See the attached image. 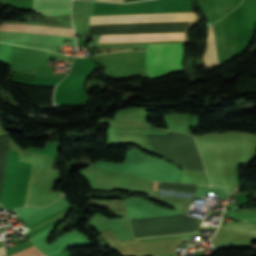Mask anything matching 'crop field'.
Segmentation results:
<instances>
[{
	"instance_id": "8a807250",
	"label": "crop field",
	"mask_w": 256,
	"mask_h": 256,
	"mask_svg": "<svg viewBox=\"0 0 256 256\" xmlns=\"http://www.w3.org/2000/svg\"><path fill=\"white\" fill-rule=\"evenodd\" d=\"M187 13H194V12H187ZM163 14H184V13L107 15V16H91L90 18L163 15ZM193 17H194V14L100 18V19H90V24H125V23H145V22H164V21H192ZM175 39H184V32L132 34V35H102L99 42H144V41L175 40Z\"/></svg>"
},
{
	"instance_id": "ac0d7876",
	"label": "crop field",
	"mask_w": 256,
	"mask_h": 256,
	"mask_svg": "<svg viewBox=\"0 0 256 256\" xmlns=\"http://www.w3.org/2000/svg\"><path fill=\"white\" fill-rule=\"evenodd\" d=\"M182 61L183 56L181 42L147 44L145 64L146 71H148V77H155L165 73L181 70Z\"/></svg>"
},
{
	"instance_id": "34b2d1b8",
	"label": "crop field",
	"mask_w": 256,
	"mask_h": 256,
	"mask_svg": "<svg viewBox=\"0 0 256 256\" xmlns=\"http://www.w3.org/2000/svg\"><path fill=\"white\" fill-rule=\"evenodd\" d=\"M71 0H33L32 11L44 15H63L70 12Z\"/></svg>"
},
{
	"instance_id": "412701ff",
	"label": "crop field",
	"mask_w": 256,
	"mask_h": 256,
	"mask_svg": "<svg viewBox=\"0 0 256 256\" xmlns=\"http://www.w3.org/2000/svg\"><path fill=\"white\" fill-rule=\"evenodd\" d=\"M0 31L35 32L44 34L74 36L73 29L69 28L33 26L24 24H1Z\"/></svg>"
},
{
	"instance_id": "f4fd0767",
	"label": "crop field",
	"mask_w": 256,
	"mask_h": 256,
	"mask_svg": "<svg viewBox=\"0 0 256 256\" xmlns=\"http://www.w3.org/2000/svg\"><path fill=\"white\" fill-rule=\"evenodd\" d=\"M212 25V24H211ZM207 48L203 56L204 68H214L218 66L216 48L213 35V27L210 26L208 29Z\"/></svg>"
},
{
	"instance_id": "dd49c442",
	"label": "crop field",
	"mask_w": 256,
	"mask_h": 256,
	"mask_svg": "<svg viewBox=\"0 0 256 256\" xmlns=\"http://www.w3.org/2000/svg\"><path fill=\"white\" fill-rule=\"evenodd\" d=\"M220 228L221 229H226V230H232V231H237V232L256 235V225H248V224L227 222L226 227L220 226Z\"/></svg>"
},
{
	"instance_id": "e52e79f7",
	"label": "crop field",
	"mask_w": 256,
	"mask_h": 256,
	"mask_svg": "<svg viewBox=\"0 0 256 256\" xmlns=\"http://www.w3.org/2000/svg\"><path fill=\"white\" fill-rule=\"evenodd\" d=\"M10 256H45V255L40 253L34 246H32L30 248H27L25 250H22Z\"/></svg>"
},
{
	"instance_id": "d8731c3e",
	"label": "crop field",
	"mask_w": 256,
	"mask_h": 256,
	"mask_svg": "<svg viewBox=\"0 0 256 256\" xmlns=\"http://www.w3.org/2000/svg\"><path fill=\"white\" fill-rule=\"evenodd\" d=\"M4 255V250H3V246L0 247V256H3Z\"/></svg>"
},
{
	"instance_id": "5a996713",
	"label": "crop field",
	"mask_w": 256,
	"mask_h": 256,
	"mask_svg": "<svg viewBox=\"0 0 256 256\" xmlns=\"http://www.w3.org/2000/svg\"><path fill=\"white\" fill-rule=\"evenodd\" d=\"M106 1L123 2V0H106Z\"/></svg>"
},
{
	"instance_id": "3316defc",
	"label": "crop field",
	"mask_w": 256,
	"mask_h": 256,
	"mask_svg": "<svg viewBox=\"0 0 256 256\" xmlns=\"http://www.w3.org/2000/svg\"><path fill=\"white\" fill-rule=\"evenodd\" d=\"M2 229V228H1Z\"/></svg>"
}]
</instances>
